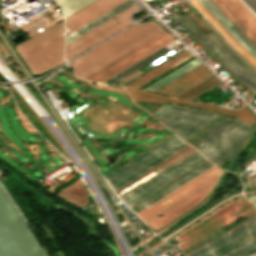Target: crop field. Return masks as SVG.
I'll return each mask as SVG.
<instances>
[{"label":"crop field","instance_id":"1","mask_svg":"<svg viewBox=\"0 0 256 256\" xmlns=\"http://www.w3.org/2000/svg\"><path fill=\"white\" fill-rule=\"evenodd\" d=\"M221 172L222 171H220L218 168L212 166L209 169L202 172L201 174L194 177L193 179H191L190 181L186 182L179 188L175 189L171 193L167 194L163 198L159 199L158 201L154 202L153 204L149 205L148 207H146L145 209L141 210L136 214L145 221L148 218L155 215L156 213L163 210L164 208L168 207L175 201L179 200L186 194L190 193L194 189L198 188L199 186L203 185L207 181L221 174ZM219 176L212 179L211 181L204 184L203 186L199 187L198 189L194 190L190 194L186 195L185 197L175 202L174 204H172L165 210L161 211L157 215L150 218L149 220L155 218L156 216L162 213L165 215L164 217L150 223L149 225L157 230L163 225H165L166 223L182 216L186 212L190 211L191 209L199 205L201 201L206 197V195L210 192V190L213 188Z\"/></svg>","mask_w":256,"mask_h":256},{"label":"crop field","instance_id":"2","mask_svg":"<svg viewBox=\"0 0 256 256\" xmlns=\"http://www.w3.org/2000/svg\"><path fill=\"white\" fill-rule=\"evenodd\" d=\"M163 30L165 29L155 21L135 24L69 63V66L75 75L83 79Z\"/></svg>","mask_w":256,"mask_h":256},{"label":"crop field","instance_id":"3","mask_svg":"<svg viewBox=\"0 0 256 256\" xmlns=\"http://www.w3.org/2000/svg\"><path fill=\"white\" fill-rule=\"evenodd\" d=\"M62 29L63 21L16 46L32 74L44 73L64 63Z\"/></svg>","mask_w":256,"mask_h":256},{"label":"crop field","instance_id":"4","mask_svg":"<svg viewBox=\"0 0 256 256\" xmlns=\"http://www.w3.org/2000/svg\"><path fill=\"white\" fill-rule=\"evenodd\" d=\"M186 145L188 144L176 136L107 179L114 189H117L151 169L160 161L178 152Z\"/></svg>","mask_w":256,"mask_h":256},{"label":"crop field","instance_id":"5","mask_svg":"<svg viewBox=\"0 0 256 256\" xmlns=\"http://www.w3.org/2000/svg\"><path fill=\"white\" fill-rule=\"evenodd\" d=\"M173 40L175 39L164 31L85 79L103 82Z\"/></svg>","mask_w":256,"mask_h":256},{"label":"crop field","instance_id":"6","mask_svg":"<svg viewBox=\"0 0 256 256\" xmlns=\"http://www.w3.org/2000/svg\"><path fill=\"white\" fill-rule=\"evenodd\" d=\"M137 9L138 5L136 4L129 7L128 9L114 16L117 19H109L100 26L96 27L95 29L91 30L90 32L86 33L85 35L71 42L70 44L66 45L65 59H72L73 57L80 54L87 48L93 46L94 44L100 42L106 37L131 24L132 21L129 19V14L136 11ZM118 21L120 23L117 24L116 22Z\"/></svg>","mask_w":256,"mask_h":256},{"label":"crop field","instance_id":"7","mask_svg":"<svg viewBox=\"0 0 256 256\" xmlns=\"http://www.w3.org/2000/svg\"><path fill=\"white\" fill-rule=\"evenodd\" d=\"M167 10L256 95V82L248 76L208 35L204 36L185 16H180L171 7L167 8Z\"/></svg>","mask_w":256,"mask_h":256},{"label":"crop field","instance_id":"8","mask_svg":"<svg viewBox=\"0 0 256 256\" xmlns=\"http://www.w3.org/2000/svg\"><path fill=\"white\" fill-rule=\"evenodd\" d=\"M126 89H127L132 100L171 102L174 104H180V105H184V106L213 111L218 114L228 115V116H231V117H234L237 119H241L243 121L250 122V123H254V121L256 120V118L245 107L238 109V110H228V109H222V108H218V107H214V106H209V105L169 98V97L157 95V94L146 92V91L128 89V88H126Z\"/></svg>","mask_w":256,"mask_h":256},{"label":"crop field","instance_id":"9","mask_svg":"<svg viewBox=\"0 0 256 256\" xmlns=\"http://www.w3.org/2000/svg\"><path fill=\"white\" fill-rule=\"evenodd\" d=\"M126 0H96L65 18L66 34H70L93 19L115 8Z\"/></svg>","mask_w":256,"mask_h":256},{"label":"crop field","instance_id":"10","mask_svg":"<svg viewBox=\"0 0 256 256\" xmlns=\"http://www.w3.org/2000/svg\"><path fill=\"white\" fill-rule=\"evenodd\" d=\"M211 76L213 75L200 64L159 88L156 92L177 97Z\"/></svg>","mask_w":256,"mask_h":256},{"label":"crop field","instance_id":"11","mask_svg":"<svg viewBox=\"0 0 256 256\" xmlns=\"http://www.w3.org/2000/svg\"><path fill=\"white\" fill-rule=\"evenodd\" d=\"M239 200H241V203H239L238 200L231 202L230 204L224 206L220 210L216 211L215 213L207 217L205 220H203L202 222H200L187 232H183L184 234H180L181 236L178 237L180 243L186 241L187 239L193 237L194 235L202 232L203 230L209 228L210 226L216 224L217 222L223 220L224 218L232 215L233 213L251 204L243 199Z\"/></svg>","mask_w":256,"mask_h":256},{"label":"crop field","instance_id":"12","mask_svg":"<svg viewBox=\"0 0 256 256\" xmlns=\"http://www.w3.org/2000/svg\"><path fill=\"white\" fill-rule=\"evenodd\" d=\"M57 195L80 208L89 204L87 201L89 195L81 179L60 191Z\"/></svg>","mask_w":256,"mask_h":256},{"label":"crop field","instance_id":"13","mask_svg":"<svg viewBox=\"0 0 256 256\" xmlns=\"http://www.w3.org/2000/svg\"><path fill=\"white\" fill-rule=\"evenodd\" d=\"M230 42V44L256 69V60L253 59L235 40L234 38L221 26V24L214 19L196 0L190 1Z\"/></svg>","mask_w":256,"mask_h":256},{"label":"crop field","instance_id":"14","mask_svg":"<svg viewBox=\"0 0 256 256\" xmlns=\"http://www.w3.org/2000/svg\"><path fill=\"white\" fill-rule=\"evenodd\" d=\"M133 4H134V2L132 0H128L127 2L116 7L115 9L111 10L110 12L102 15L101 17L95 19L94 21L90 22L89 24L76 30L75 32L66 36V44L70 43L71 41L75 40L76 38L80 37L81 35L85 34L86 32L90 31L91 29L95 28L99 24L103 23L104 21L108 20L109 18L113 17L114 15L118 14L119 12L123 11L124 9L128 8L129 6H131Z\"/></svg>","mask_w":256,"mask_h":256},{"label":"crop field","instance_id":"15","mask_svg":"<svg viewBox=\"0 0 256 256\" xmlns=\"http://www.w3.org/2000/svg\"><path fill=\"white\" fill-rule=\"evenodd\" d=\"M244 33V35L256 45V34L239 18L224 0H212Z\"/></svg>","mask_w":256,"mask_h":256},{"label":"crop field","instance_id":"16","mask_svg":"<svg viewBox=\"0 0 256 256\" xmlns=\"http://www.w3.org/2000/svg\"><path fill=\"white\" fill-rule=\"evenodd\" d=\"M168 51H170V50H168L165 47L158 50L157 52L153 53L152 55L146 57L145 59L141 60L140 62L134 64L133 66L127 68L126 70L122 71L121 73H119V74L115 75L114 77L110 78L109 80L105 81V83H113V84L118 83L123 78H125V76H127V75L135 72L136 70L142 68L143 66L151 63L152 61L159 58L160 56L167 53Z\"/></svg>","mask_w":256,"mask_h":256},{"label":"crop field","instance_id":"17","mask_svg":"<svg viewBox=\"0 0 256 256\" xmlns=\"http://www.w3.org/2000/svg\"><path fill=\"white\" fill-rule=\"evenodd\" d=\"M225 1L256 32V17L239 0Z\"/></svg>","mask_w":256,"mask_h":256},{"label":"crop field","instance_id":"18","mask_svg":"<svg viewBox=\"0 0 256 256\" xmlns=\"http://www.w3.org/2000/svg\"><path fill=\"white\" fill-rule=\"evenodd\" d=\"M252 211H254V209H253V207H250V208L244 210L243 212L237 214L236 216H234V217L228 219L227 221L221 223L220 225H218V226L212 228L211 230L205 232L204 234H202V235L196 237L195 239L189 241L188 243H186V244L180 246L181 251L184 250V249H186V248H188L189 246L195 244L196 242L202 240L203 238L209 236L210 234L214 233L215 231H217V230H219V229H221V228H223V227L229 225V224L232 223L233 221L239 219L240 217H242V216H244V215H246V214H248V213H250V212H252Z\"/></svg>","mask_w":256,"mask_h":256},{"label":"crop field","instance_id":"19","mask_svg":"<svg viewBox=\"0 0 256 256\" xmlns=\"http://www.w3.org/2000/svg\"><path fill=\"white\" fill-rule=\"evenodd\" d=\"M61 9L63 16L70 15L93 0H54Z\"/></svg>","mask_w":256,"mask_h":256},{"label":"crop field","instance_id":"20","mask_svg":"<svg viewBox=\"0 0 256 256\" xmlns=\"http://www.w3.org/2000/svg\"><path fill=\"white\" fill-rule=\"evenodd\" d=\"M200 64L196 59L191 61L190 63L186 64L185 66L181 67L180 69L176 70L175 72L169 74L168 76L164 77L163 79L159 80L158 82L154 83L153 85L146 88V90H156L159 87L163 86L164 84L168 83L169 81L173 80L174 78L180 76L181 74L185 73L186 71L190 70L191 68L195 67L196 65Z\"/></svg>","mask_w":256,"mask_h":256},{"label":"crop field","instance_id":"21","mask_svg":"<svg viewBox=\"0 0 256 256\" xmlns=\"http://www.w3.org/2000/svg\"><path fill=\"white\" fill-rule=\"evenodd\" d=\"M214 18H216L223 27L235 38V40L256 59V53L253 52L230 28L229 26L214 12V10L204 1L197 0Z\"/></svg>","mask_w":256,"mask_h":256},{"label":"crop field","instance_id":"22","mask_svg":"<svg viewBox=\"0 0 256 256\" xmlns=\"http://www.w3.org/2000/svg\"><path fill=\"white\" fill-rule=\"evenodd\" d=\"M188 55H190V54L187 53L186 55L178 58L177 60H175L171 63L168 62V63L162 65L161 67H159L156 70L150 72L149 74L145 75L144 77L138 79L137 81L133 82L132 84H130L128 86L136 87V86L140 85L141 83L145 82L146 80L150 79L151 77L155 76L156 74L160 73L161 71L165 70L166 68L170 67L171 65L175 64L176 62L180 61L181 59L185 58Z\"/></svg>","mask_w":256,"mask_h":256},{"label":"crop field","instance_id":"23","mask_svg":"<svg viewBox=\"0 0 256 256\" xmlns=\"http://www.w3.org/2000/svg\"><path fill=\"white\" fill-rule=\"evenodd\" d=\"M248 75H250L255 81L254 77L226 48L225 46L212 34H208Z\"/></svg>","mask_w":256,"mask_h":256},{"label":"crop field","instance_id":"24","mask_svg":"<svg viewBox=\"0 0 256 256\" xmlns=\"http://www.w3.org/2000/svg\"><path fill=\"white\" fill-rule=\"evenodd\" d=\"M184 51H186V50L184 49V50H182V51L176 53L175 55L171 56L170 58L166 59L165 61H163V62H161L160 64L156 65L155 67L151 68L150 70L144 72L143 74L139 75L138 77L134 78L133 80L127 82L126 84H124V86L130 84L131 82H133V81H135L136 79L142 77L143 75L147 74L148 72L152 71L153 69L157 68L158 66L162 65L163 63L167 62L168 60L174 58L175 56L179 55L180 53H182V52H184Z\"/></svg>","mask_w":256,"mask_h":256},{"label":"crop field","instance_id":"25","mask_svg":"<svg viewBox=\"0 0 256 256\" xmlns=\"http://www.w3.org/2000/svg\"><path fill=\"white\" fill-rule=\"evenodd\" d=\"M251 10L256 14V0H243Z\"/></svg>","mask_w":256,"mask_h":256},{"label":"crop field","instance_id":"26","mask_svg":"<svg viewBox=\"0 0 256 256\" xmlns=\"http://www.w3.org/2000/svg\"><path fill=\"white\" fill-rule=\"evenodd\" d=\"M174 1L178 2V1H180V0H174Z\"/></svg>","mask_w":256,"mask_h":256}]
</instances>
